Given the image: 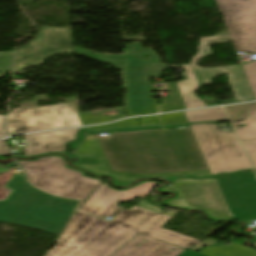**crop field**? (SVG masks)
<instances>
[{
  "mask_svg": "<svg viewBox=\"0 0 256 256\" xmlns=\"http://www.w3.org/2000/svg\"><path fill=\"white\" fill-rule=\"evenodd\" d=\"M111 171L139 175L209 170L188 126L97 139Z\"/></svg>",
  "mask_w": 256,
  "mask_h": 256,
  "instance_id": "obj_1",
  "label": "crop field"
},
{
  "mask_svg": "<svg viewBox=\"0 0 256 256\" xmlns=\"http://www.w3.org/2000/svg\"><path fill=\"white\" fill-rule=\"evenodd\" d=\"M169 219L137 206L122 209L110 222L78 212L46 256H110L137 233L185 249L199 242L162 229Z\"/></svg>",
  "mask_w": 256,
  "mask_h": 256,
  "instance_id": "obj_2",
  "label": "crop field"
},
{
  "mask_svg": "<svg viewBox=\"0 0 256 256\" xmlns=\"http://www.w3.org/2000/svg\"><path fill=\"white\" fill-rule=\"evenodd\" d=\"M11 174L4 185L11 191L0 201V221L60 234L78 200L53 197L30 186L22 172Z\"/></svg>",
  "mask_w": 256,
  "mask_h": 256,
  "instance_id": "obj_3",
  "label": "crop field"
},
{
  "mask_svg": "<svg viewBox=\"0 0 256 256\" xmlns=\"http://www.w3.org/2000/svg\"><path fill=\"white\" fill-rule=\"evenodd\" d=\"M143 54L150 55L151 61H145ZM166 64L151 48L142 49L141 43L129 45V57L124 59L123 83L127 89V116L157 113L158 100L151 99L150 91H160L150 84L149 77H161Z\"/></svg>",
  "mask_w": 256,
  "mask_h": 256,
  "instance_id": "obj_4",
  "label": "crop field"
},
{
  "mask_svg": "<svg viewBox=\"0 0 256 256\" xmlns=\"http://www.w3.org/2000/svg\"><path fill=\"white\" fill-rule=\"evenodd\" d=\"M63 162L61 157L18 161L33 186L56 196L86 201L100 180L84 177L83 173L63 166Z\"/></svg>",
  "mask_w": 256,
  "mask_h": 256,
  "instance_id": "obj_5",
  "label": "crop field"
},
{
  "mask_svg": "<svg viewBox=\"0 0 256 256\" xmlns=\"http://www.w3.org/2000/svg\"><path fill=\"white\" fill-rule=\"evenodd\" d=\"M212 176L220 172L252 169L234 132L218 131L216 124L189 126Z\"/></svg>",
  "mask_w": 256,
  "mask_h": 256,
  "instance_id": "obj_6",
  "label": "crop field"
},
{
  "mask_svg": "<svg viewBox=\"0 0 256 256\" xmlns=\"http://www.w3.org/2000/svg\"><path fill=\"white\" fill-rule=\"evenodd\" d=\"M46 99L37 96L32 101L22 103L20 107L9 114L6 125L9 135L46 129L81 125L76 113L78 112L77 98H66V104L55 105L53 109L37 106L38 100ZM60 108H69L70 114L61 115Z\"/></svg>",
  "mask_w": 256,
  "mask_h": 256,
  "instance_id": "obj_7",
  "label": "crop field"
},
{
  "mask_svg": "<svg viewBox=\"0 0 256 256\" xmlns=\"http://www.w3.org/2000/svg\"><path fill=\"white\" fill-rule=\"evenodd\" d=\"M160 190L178 194L177 197L166 200L164 204L202 210L213 220L230 219L213 179L181 178Z\"/></svg>",
  "mask_w": 256,
  "mask_h": 256,
  "instance_id": "obj_8",
  "label": "crop field"
},
{
  "mask_svg": "<svg viewBox=\"0 0 256 256\" xmlns=\"http://www.w3.org/2000/svg\"><path fill=\"white\" fill-rule=\"evenodd\" d=\"M71 27L43 26L34 39L16 49L13 74L22 68L41 64L43 60L56 53H72Z\"/></svg>",
  "mask_w": 256,
  "mask_h": 256,
  "instance_id": "obj_9",
  "label": "crop field"
},
{
  "mask_svg": "<svg viewBox=\"0 0 256 256\" xmlns=\"http://www.w3.org/2000/svg\"><path fill=\"white\" fill-rule=\"evenodd\" d=\"M235 48L256 52V0H216Z\"/></svg>",
  "mask_w": 256,
  "mask_h": 256,
  "instance_id": "obj_10",
  "label": "crop field"
},
{
  "mask_svg": "<svg viewBox=\"0 0 256 256\" xmlns=\"http://www.w3.org/2000/svg\"><path fill=\"white\" fill-rule=\"evenodd\" d=\"M233 219H256V178L244 171L215 178Z\"/></svg>",
  "mask_w": 256,
  "mask_h": 256,
  "instance_id": "obj_11",
  "label": "crop field"
},
{
  "mask_svg": "<svg viewBox=\"0 0 256 256\" xmlns=\"http://www.w3.org/2000/svg\"><path fill=\"white\" fill-rule=\"evenodd\" d=\"M225 41H231L228 33L218 34L210 38L200 39V45L198 48L199 53L191 61V66L194 71L198 85L202 86V85L211 84L212 77L219 74L227 73L229 84L233 92L235 93L238 102L255 99L240 65L202 69L201 67L195 64V62L201 57L211 54L207 44L225 42Z\"/></svg>",
  "mask_w": 256,
  "mask_h": 256,
  "instance_id": "obj_12",
  "label": "crop field"
},
{
  "mask_svg": "<svg viewBox=\"0 0 256 256\" xmlns=\"http://www.w3.org/2000/svg\"><path fill=\"white\" fill-rule=\"evenodd\" d=\"M149 130V129H144ZM113 133H109L111 135ZM103 137L99 135L90 134L85 137V139L80 143V145L75 149L73 154L79 157L78 162L75 166L82 167L92 171L95 174H106L114 177V183L117 185H127L132 181L140 177H168L174 178L181 175L193 176V177H204L211 175L209 171L203 172H189V173H175V174H163V175H150V176H139L130 175L122 173L110 172L98 142L96 138Z\"/></svg>",
  "mask_w": 256,
  "mask_h": 256,
  "instance_id": "obj_13",
  "label": "crop field"
},
{
  "mask_svg": "<svg viewBox=\"0 0 256 256\" xmlns=\"http://www.w3.org/2000/svg\"><path fill=\"white\" fill-rule=\"evenodd\" d=\"M154 184L156 181H144L123 191H115L108 188L106 184H100L78 210L103 218L113 216L120 209L115 205L118 201L131 200L134 196L145 198Z\"/></svg>",
  "mask_w": 256,
  "mask_h": 256,
  "instance_id": "obj_14",
  "label": "crop field"
},
{
  "mask_svg": "<svg viewBox=\"0 0 256 256\" xmlns=\"http://www.w3.org/2000/svg\"><path fill=\"white\" fill-rule=\"evenodd\" d=\"M81 129L82 128L24 136L27 142L25 146V156L48 152H64L65 144L74 140L77 131Z\"/></svg>",
  "mask_w": 256,
  "mask_h": 256,
  "instance_id": "obj_15",
  "label": "crop field"
},
{
  "mask_svg": "<svg viewBox=\"0 0 256 256\" xmlns=\"http://www.w3.org/2000/svg\"><path fill=\"white\" fill-rule=\"evenodd\" d=\"M183 250L162 241L138 234L113 256H177Z\"/></svg>",
  "mask_w": 256,
  "mask_h": 256,
  "instance_id": "obj_16",
  "label": "crop field"
},
{
  "mask_svg": "<svg viewBox=\"0 0 256 256\" xmlns=\"http://www.w3.org/2000/svg\"><path fill=\"white\" fill-rule=\"evenodd\" d=\"M187 80L177 83L186 109L206 106L204 100L194 96V92L198 89L193 71L190 65H183Z\"/></svg>",
  "mask_w": 256,
  "mask_h": 256,
  "instance_id": "obj_17",
  "label": "crop field"
},
{
  "mask_svg": "<svg viewBox=\"0 0 256 256\" xmlns=\"http://www.w3.org/2000/svg\"><path fill=\"white\" fill-rule=\"evenodd\" d=\"M151 125L161 126L158 115L131 118V119H126L119 122H114L108 125L86 127V129H93L94 131H98V130H105L109 128H132V127H138V126L142 127V126H151Z\"/></svg>",
  "mask_w": 256,
  "mask_h": 256,
  "instance_id": "obj_18",
  "label": "crop field"
},
{
  "mask_svg": "<svg viewBox=\"0 0 256 256\" xmlns=\"http://www.w3.org/2000/svg\"><path fill=\"white\" fill-rule=\"evenodd\" d=\"M199 253L207 256H256V251L238 243H231L222 247H211Z\"/></svg>",
  "mask_w": 256,
  "mask_h": 256,
  "instance_id": "obj_19",
  "label": "crop field"
},
{
  "mask_svg": "<svg viewBox=\"0 0 256 256\" xmlns=\"http://www.w3.org/2000/svg\"><path fill=\"white\" fill-rule=\"evenodd\" d=\"M189 122L227 120L221 107L184 112Z\"/></svg>",
  "mask_w": 256,
  "mask_h": 256,
  "instance_id": "obj_20",
  "label": "crop field"
},
{
  "mask_svg": "<svg viewBox=\"0 0 256 256\" xmlns=\"http://www.w3.org/2000/svg\"><path fill=\"white\" fill-rule=\"evenodd\" d=\"M162 91H168L170 97H162L160 112L184 109L175 83H164Z\"/></svg>",
  "mask_w": 256,
  "mask_h": 256,
  "instance_id": "obj_21",
  "label": "crop field"
},
{
  "mask_svg": "<svg viewBox=\"0 0 256 256\" xmlns=\"http://www.w3.org/2000/svg\"><path fill=\"white\" fill-rule=\"evenodd\" d=\"M117 113L113 115H105L103 113L91 115L88 112L78 113V117L82 125L93 124V123H101L108 122L114 119L124 117L123 107H115Z\"/></svg>",
  "mask_w": 256,
  "mask_h": 256,
  "instance_id": "obj_22",
  "label": "crop field"
},
{
  "mask_svg": "<svg viewBox=\"0 0 256 256\" xmlns=\"http://www.w3.org/2000/svg\"><path fill=\"white\" fill-rule=\"evenodd\" d=\"M248 123L246 126L240 129H236V132L240 138V140L245 139H255L256 138V109L253 110L250 114L244 117V121L232 123L236 124H244Z\"/></svg>",
  "mask_w": 256,
  "mask_h": 256,
  "instance_id": "obj_23",
  "label": "crop field"
},
{
  "mask_svg": "<svg viewBox=\"0 0 256 256\" xmlns=\"http://www.w3.org/2000/svg\"><path fill=\"white\" fill-rule=\"evenodd\" d=\"M74 53L84 55V56H87V57H90V58H93V59H96L120 68L121 56H118V55L99 54V55L92 56V55H89L90 51L80 49V48H74Z\"/></svg>",
  "mask_w": 256,
  "mask_h": 256,
  "instance_id": "obj_24",
  "label": "crop field"
},
{
  "mask_svg": "<svg viewBox=\"0 0 256 256\" xmlns=\"http://www.w3.org/2000/svg\"><path fill=\"white\" fill-rule=\"evenodd\" d=\"M256 107V102L225 107L230 120H238L244 117L250 110Z\"/></svg>",
  "mask_w": 256,
  "mask_h": 256,
  "instance_id": "obj_25",
  "label": "crop field"
},
{
  "mask_svg": "<svg viewBox=\"0 0 256 256\" xmlns=\"http://www.w3.org/2000/svg\"><path fill=\"white\" fill-rule=\"evenodd\" d=\"M241 67L256 98V61L243 64Z\"/></svg>",
  "mask_w": 256,
  "mask_h": 256,
  "instance_id": "obj_26",
  "label": "crop field"
},
{
  "mask_svg": "<svg viewBox=\"0 0 256 256\" xmlns=\"http://www.w3.org/2000/svg\"><path fill=\"white\" fill-rule=\"evenodd\" d=\"M160 116H161L163 125H170V124L181 125L188 122L183 112L173 113V114H164Z\"/></svg>",
  "mask_w": 256,
  "mask_h": 256,
  "instance_id": "obj_27",
  "label": "crop field"
},
{
  "mask_svg": "<svg viewBox=\"0 0 256 256\" xmlns=\"http://www.w3.org/2000/svg\"><path fill=\"white\" fill-rule=\"evenodd\" d=\"M13 53H0V77L10 71Z\"/></svg>",
  "mask_w": 256,
  "mask_h": 256,
  "instance_id": "obj_28",
  "label": "crop field"
},
{
  "mask_svg": "<svg viewBox=\"0 0 256 256\" xmlns=\"http://www.w3.org/2000/svg\"><path fill=\"white\" fill-rule=\"evenodd\" d=\"M250 159L256 168V139L242 141Z\"/></svg>",
  "mask_w": 256,
  "mask_h": 256,
  "instance_id": "obj_29",
  "label": "crop field"
},
{
  "mask_svg": "<svg viewBox=\"0 0 256 256\" xmlns=\"http://www.w3.org/2000/svg\"><path fill=\"white\" fill-rule=\"evenodd\" d=\"M138 206L140 207H143V208H146V209H149V210H152V211H155V212H158V213H162L163 211L147 202H144L142 201ZM176 213V211H172V210H169L167 213H165L164 215H167V216H170L172 217L174 214Z\"/></svg>",
  "mask_w": 256,
  "mask_h": 256,
  "instance_id": "obj_30",
  "label": "crop field"
},
{
  "mask_svg": "<svg viewBox=\"0 0 256 256\" xmlns=\"http://www.w3.org/2000/svg\"><path fill=\"white\" fill-rule=\"evenodd\" d=\"M217 243H218V241L213 240L211 238H208V239H206V240H204V241L194 245L193 247L189 248V250H192V251L196 252L201 247L208 246V245H213V244H217Z\"/></svg>",
  "mask_w": 256,
  "mask_h": 256,
  "instance_id": "obj_31",
  "label": "crop field"
},
{
  "mask_svg": "<svg viewBox=\"0 0 256 256\" xmlns=\"http://www.w3.org/2000/svg\"><path fill=\"white\" fill-rule=\"evenodd\" d=\"M0 156H9L3 140H0Z\"/></svg>",
  "mask_w": 256,
  "mask_h": 256,
  "instance_id": "obj_32",
  "label": "crop field"
},
{
  "mask_svg": "<svg viewBox=\"0 0 256 256\" xmlns=\"http://www.w3.org/2000/svg\"><path fill=\"white\" fill-rule=\"evenodd\" d=\"M4 118H5V116L0 115V137L6 136V133L3 129Z\"/></svg>",
  "mask_w": 256,
  "mask_h": 256,
  "instance_id": "obj_33",
  "label": "crop field"
},
{
  "mask_svg": "<svg viewBox=\"0 0 256 256\" xmlns=\"http://www.w3.org/2000/svg\"><path fill=\"white\" fill-rule=\"evenodd\" d=\"M9 189L6 188H1L0 189V200L5 199V197L7 196V194L9 193Z\"/></svg>",
  "mask_w": 256,
  "mask_h": 256,
  "instance_id": "obj_34",
  "label": "crop field"
},
{
  "mask_svg": "<svg viewBox=\"0 0 256 256\" xmlns=\"http://www.w3.org/2000/svg\"><path fill=\"white\" fill-rule=\"evenodd\" d=\"M180 256H203V255H198V254H193V253H190V252H187L185 251L182 255Z\"/></svg>",
  "mask_w": 256,
  "mask_h": 256,
  "instance_id": "obj_35",
  "label": "crop field"
},
{
  "mask_svg": "<svg viewBox=\"0 0 256 256\" xmlns=\"http://www.w3.org/2000/svg\"><path fill=\"white\" fill-rule=\"evenodd\" d=\"M61 113L62 114H67V113H69V111H68V109H61Z\"/></svg>",
  "mask_w": 256,
  "mask_h": 256,
  "instance_id": "obj_36",
  "label": "crop field"
},
{
  "mask_svg": "<svg viewBox=\"0 0 256 256\" xmlns=\"http://www.w3.org/2000/svg\"><path fill=\"white\" fill-rule=\"evenodd\" d=\"M9 170L8 168L0 167V172Z\"/></svg>",
  "mask_w": 256,
  "mask_h": 256,
  "instance_id": "obj_37",
  "label": "crop field"
},
{
  "mask_svg": "<svg viewBox=\"0 0 256 256\" xmlns=\"http://www.w3.org/2000/svg\"><path fill=\"white\" fill-rule=\"evenodd\" d=\"M54 106V105H53ZM53 106H49L50 108H53Z\"/></svg>",
  "mask_w": 256,
  "mask_h": 256,
  "instance_id": "obj_38",
  "label": "crop field"
}]
</instances>
